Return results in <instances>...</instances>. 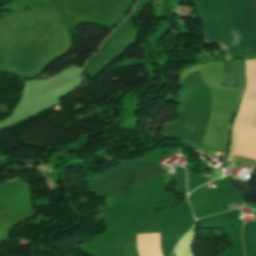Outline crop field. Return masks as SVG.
I'll return each mask as SVG.
<instances>
[{
  "mask_svg": "<svg viewBox=\"0 0 256 256\" xmlns=\"http://www.w3.org/2000/svg\"><path fill=\"white\" fill-rule=\"evenodd\" d=\"M152 163L154 162L148 159L142 164L138 162L135 165L127 168H116L108 173L93 177L91 179L96 188V191H102ZM165 173V170L154 163L124 179L123 181L113 185L112 187L104 190V192L125 195Z\"/></svg>",
  "mask_w": 256,
  "mask_h": 256,
  "instance_id": "obj_1",
  "label": "crop field"
},
{
  "mask_svg": "<svg viewBox=\"0 0 256 256\" xmlns=\"http://www.w3.org/2000/svg\"><path fill=\"white\" fill-rule=\"evenodd\" d=\"M141 256H163L160 249V233L137 234Z\"/></svg>",
  "mask_w": 256,
  "mask_h": 256,
  "instance_id": "obj_2",
  "label": "crop field"
},
{
  "mask_svg": "<svg viewBox=\"0 0 256 256\" xmlns=\"http://www.w3.org/2000/svg\"><path fill=\"white\" fill-rule=\"evenodd\" d=\"M229 182L240 193L243 201L256 204V173H251L248 182Z\"/></svg>",
  "mask_w": 256,
  "mask_h": 256,
  "instance_id": "obj_3",
  "label": "crop field"
},
{
  "mask_svg": "<svg viewBox=\"0 0 256 256\" xmlns=\"http://www.w3.org/2000/svg\"><path fill=\"white\" fill-rule=\"evenodd\" d=\"M256 222H244L243 246L246 256H256V246L254 242Z\"/></svg>",
  "mask_w": 256,
  "mask_h": 256,
  "instance_id": "obj_4",
  "label": "crop field"
},
{
  "mask_svg": "<svg viewBox=\"0 0 256 256\" xmlns=\"http://www.w3.org/2000/svg\"><path fill=\"white\" fill-rule=\"evenodd\" d=\"M223 83L241 87L240 64H223Z\"/></svg>",
  "mask_w": 256,
  "mask_h": 256,
  "instance_id": "obj_5",
  "label": "crop field"
},
{
  "mask_svg": "<svg viewBox=\"0 0 256 256\" xmlns=\"http://www.w3.org/2000/svg\"><path fill=\"white\" fill-rule=\"evenodd\" d=\"M178 184L186 188L185 175L178 172Z\"/></svg>",
  "mask_w": 256,
  "mask_h": 256,
  "instance_id": "obj_6",
  "label": "crop field"
},
{
  "mask_svg": "<svg viewBox=\"0 0 256 256\" xmlns=\"http://www.w3.org/2000/svg\"><path fill=\"white\" fill-rule=\"evenodd\" d=\"M234 135H235V133H232V142H231V148H230V150H229V157H228V161H230V159H231V153H232V147H233Z\"/></svg>",
  "mask_w": 256,
  "mask_h": 256,
  "instance_id": "obj_7",
  "label": "crop field"
},
{
  "mask_svg": "<svg viewBox=\"0 0 256 256\" xmlns=\"http://www.w3.org/2000/svg\"><path fill=\"white\" fill-rule=\"evenodd\" d=\"M252 171H256V166L254 167V169Z\"/></svg>",
  "mask_w": 256,
  "mask_h": 256,
  "instance_id": "obj_8",
  "label": "crop field"
}]
</instances>
